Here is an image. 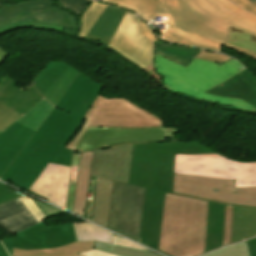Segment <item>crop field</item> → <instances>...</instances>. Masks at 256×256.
Listing matches in <instances>:
<instances>
[{
  "label": "crop field",
  "mask_w": 256,
  "mask_h": 256,
  "mask_svg": "<svg viewBox=\"0 0 256 256\" xmlns=\"http://www.w3.org/2000/svg\"><path fill=\"white\" fill-rule=\"evenodd\" d=\"M32 84L44 98L0 133V180L64 208L73 157L64 146L103 85L61 61Z\"/></svg>",
  "instance_id": "obj_1"
},
{
  "label": "crop field",
  "mask_w": 256,
  "mask_h": 256,
  "mask_svg": "<svg viewBox=\"0 0 256 256\" xmlns=\"http://www.w3.org/2000/svg\"><path fill=\"white\" fill-rule=\"evenodd\" d=\"M129 9L146 21L168 17L170 25L163 40L182 45L221 51L222 46L237 50L256 60V52L226 44L229 27L256 36V16L228 0H104Z\"/></svg>",
  "instance_id": "obj_2"
},
{
  "label": "crop field",
  "mask_w": 256,
  "mask_h": 256,
  "mask_svg": "<svg viewBox=\"0 0 256 256\" xmlns=\"http://www.w3.org/2000/svg\"><path fill=\"white\" fill-rule=\"evenodd\" d=\"M165 124L166 122L123 97L106 98L99 95L73 134L75 138L65 146L74 151L65 209L70 211L73 207L81 151L130 143L167 142L166 138L181 141L173 136L180 130L164 127Z\"/></svg>",
  "instance_id": "obj_3"
},
{
  "label": "crop field",
  "mask_w": 256,
  "mask_h": 256,
  "mask_svg": "<svg viewBox=\"0 0 256 256\" xmlns=\"http://www.w3.org/2000/svg\"><path fill=\"white\" fill-rule=\"evenodd\" d=\"M199 143L134 144L129 184L146 187L140 243L158 249L165 192L172 193L175 153H214Z\"/></svg>",
  "instance_id": "obj_4"
},
{
  "label": "crop field",
  "mask_w": 256,
  "mask_h": 256,
  "mask_svg": "<svg viewBox=\"0 0 256 256\" xmlns=\"http://www.w3.org/2000/svg\"><path fill=\"white\" fill-rule=\"evenodd\" d=\"M208 202L166 193L159 250L171 256L204 254Z\"/></svg>",
  "instance_id": "obj_5"
},
{
  "label": "crop field",
  "mask_w": 256,
  "mask_h": 256,
  "mask_svg": "<svg viewBox=\"0 0 256 256\" xmlns=\"http://www.w3.org/2000/svg\"><path fill=\"white\" fill-rule=\"evenodd\" d=\"M159 53V52H158ZM154 52L155 68L165 77L164 85L172 91L209 102L227 103L240 109L256 111L241 99L212 96L202 92L228 80L245 68L241 63L230 59L223 65L194 58L187 68L175 64Z\"/></svg>",
  "instance_id": "obj_6"
},
{
  "label": "crop field",
  "mask_w": 256,
  "mask_h": 256,
  "mask_svg": "<svg viewBox=\"0 0 256 256\" xmlns=\"http://www.w3.org/2000/svg\"><path fill=\"white\" fill-rule=\"evenodd\" d=\"M132 149L130 144L95 150L93 154L91 176L97 181L91 221L106 228L112 180L128 183Z\"/></svg>",
  "instance_id": "obj_7"
},
{
  "label": "crop field",
  "mask_w": 256,
  "mask_h": 256,
  "mask_svg": "<svg viewBox=\"0 0 256 256\" xmlns=\"http://www.w3.org/2000/svg\"><path fill=\"white\" fill-rule=\"evenodd\" d=\"M77 25V18L56 8L52 0L2 5L0 9V35L27 27L60 32L66 27L77 28Z\"/></svg>",
  "instance_id": "obj_8"
},
{
  "label": "crop field",
  "mask_w": 256,
  "mask_h": 256,
  "mask_svg": "<svg viewBox=\"0 0 256 256\" xmlns=\"http://www.w3.org/2000/svg\"><path fill=\"white\" fill-rule=\"evenodd\" d=\"M174 173L232 179L235 187H256V163L235 162L218 154H176Z\"/></svg>",
  "instance_id": "obj_9"
},
{
  "label": "crop field",
  "mask_w": 256,
  "mask_h": 256,
  "mask_svg": "<svg viewBox=\"0 0 256 256\" xmlns=\"http://www.w3.org/2000/svg\"><path fill=\"white\" fill-rule=\"evenodd\" d=\"M235 181L174 174L173 193L256 208V188H234ZM214 189L218 190L214 192Z\"/></svg>",
  "instance_id": "obj_10"
},
{
  "label": "crop field",
  "mask_w": 256,
  "mask_h": 256,
  "mask_svg": "<svg viewBox=\"0 0 256 256\" xmlns=\"http://www.w3.org/2000/svg\"><path fill=\"white\" fill-rule=\"evenodd\" d=\"M145 188L113 181L108 228L138 242Z\"/></svg>",
  "instance_id": "obj_11"
},
{
  "label": "crop field",
  "mask_w": 256,
  "mask_h": 256,
  "mask_svg": "<svg viewBox=\"0 0 256 256\" xmlns=\"http://www.w3.org/2000/svg\"><path fill=\"white\" fill-rule=\"evenodd\" d=\"M157 40L142 20L127 12L108 47L146 69L154 61Z\"/></svg>",
  "instance_id": "obj_12"
},
{
  "label": "crop field",
  "mask_w": 256,
  "mask_h": 256,
  "mask_svg": "<svg viewBox=\"0 0 256 256\" xmlns=\"http://www.w3.org/2000/svg\"><path fill=\"white\" fill-rule=\"evenodd\" d=\"M75 241L72 223L50 227L44 223H38L17 233V236L2 241V243L8 253L12 255V247L19 249L53 248Z\"/></svg>",
  "instance_id": "obj_13"
},
{
  "label": "crop field",
  "mask_w": 256,
  "mask_h": 256,
  "mask_svg": "<svg viewBox=\"0 0 256 256\" xmlns=\"http://www.w3.org/2000/svg\"><path fill=\"white\" fill-rule=\"evenodd\" d=\"M16 83L14 79L8 76L1 80L0 103L24 115L43 97L32 84L26 91H23L16 87Z\"/></svg>",
  "instance_id": "obj_14"
},
{
  "label": "crop field",
  "mask_w": 256,
  "mask_h": 256,
  "mask_svg": "<svg viewBox=\"0 0 256 256\" xmlns=\"http://www.w3.org/2000/svg\"><path fill=\"white\" fill-rule=\"evenodd\" d=\"M223 85L222 87L220 85L214 87L204 93L241 98L256 108V77L249 70L246 69L233 76Z\"/></svg>",
  "instance_id": "obj_15"
},
{
  "label": "crop field",
  "mask_w": 256,
  "mask_h": 256,
  "mask_svg": "<svg viewBox=\"0 0 256 256\" xmlns=\"http://www.w3.org/2000/svg\"><path fill=\"white\" fill-rule=\"evenodd\" d=\"M38 223L20 199L0 205V226L9 234Z\"/></svg>",
  "instance_id": "obj_16"
},
{
  "label": "crop field",
  "mask_w": 256,
  "mask_h": 256,
  "mask_svg": "<svg viewBox=\"0 0 256 256\" xmlns=\"http://www.w3.org/2000/svg\"><path fill=\"white\" fill-rule=\"evenodd\" d=\"M125 14L126 11L107 5L86 37L101 41L108 46L114 32Z\"/></svg>",
  "instance_id": "obj_17"
},
{
  "label": "crop field",
  "mask_w": 256,
  "mask_h": 256,
  "mask_svg": "<svg viewBox=\"0 0 256 256\" xmlns=\"http://www.w3.org/2000/svg\"><path fill=\"white\" fill-rule=\"evenodd\" d=\"M225 205L209 202L205 253L222 247Z\"/></svg>",
  "instance_id": "obj_18"
},
{
  "label": "crop field",
  "mask_w": 256,
  "mask_h": 256,
  "mask_svg": "<svg viewBox=\"0 0 256 256\" xmlns=\"http://www.w3.org/2000/svg\"><path fill=\"white\" fill-rule=\"evenodd\" d=\"M93 151L82 152L79 162L73 213L84 217Z\"/></svg>",
  "instance_id": "obj_19"
},
{
  "label": "crop field",
  "mask_w": 256,
  "mask_h": 256,
  "mask_svg": "<svg viewBox=\"0 0 256 256\" xmlns=\"http://www.w3.org/2000/svg\"><path fill=\"white\" fill-rule=\"evenodd\" d=\"M256 236V209L234 206L231 243Z\"/></svg>",
  "instance_id": "obj_20"
},
{
  "label": "crop field",
  "mask_w": 256,
  "mask_h": 256,
  "mask_svg": "<svg viewBox=\"0 0 256 256\" xmlns=\"http://www.w3.org/2000/svg\"><path fill=\"white\" fill-rule=\"evenodd\" d=\"M74 233H75V230H74ZM75 238H76V234H75ZM93 249H94L93 241L75 242L67 246L53 248V249L18 250L13 248V256H79L76 254L93 250Z\"/></svg>",
  "instance_id": "obj_21"
},
{
  "label": "crop field",
  "mask_w": 256,
  "mask_h": 256,
  "mask_svg": "<svg viewBox=\"0 0 256 256\" xmlns=\"http://www.w3.org/2000/svg\"><path fill=\"white\" fill-rule=\"evenodd\" d=\"M156 44V50L160 55L185 67H187L192 59L200 52V50L183 48L160 40L157 41Z\"/></svg>",
  "instance_id": "obj_22"
},
{
  "label": "crop field",
  "mask_w": 256,
  "mask_h": 256,
  "mask_svg": "<svg viewBox=\"0 0 256 256\" xmlns=\"http://www.w3.org/2000/svg\"><path fill=\"white\" fill-rule=\"evenodd\" d=\"M78 241L95 240L111 244L113 234L90 223L74 224Z\"/></svg>",
  "instance_id": "obj_23"
},
{
  "label": "crop field",
  "mask_w": 256,
  "mask_h": 256,
  "mask_svg": "<svg viewBox=\"0 0 256 256\" xmlns=\"http://www.w3.org/2000/svg\"><path fill=\"white\" fill-rule=\"evenodd\" d=\"M106 7V4H102L99 2L91 3L90 7L84 12L81 16V31L79 32L80 37H85L93 23L96 21L98 16L101 14L103 9Z\"/></svg>",
  "instance_id": "obj_24"
},
{
  "label": "crop field",
  "mask_w": 256,
  "mask_h": 256,
  "mask_svg": "<svg viewBox=\"0 0 256 256\" xmlns=\"http://www.w3.org/2000/svg\"><path fill=\"white\" fill-rule=\"evenodd\" d=\"M230 31L231 37L230 41L228 42L229 44L256 51V37L233 27L230 28Z\"/></svg>",
  "instance_id": "obj_25"
},
{
  "label": "crop field",
  "mask_w": 256,
  "mask_h": 256,
  "mask_svg": "<svg viewBox=\"0 0 256 256\" xmlns=\"http://www.w3.org/2000/svg\"><path fill=\"white\" fill-rule=\"evenodd\" d=\"M95 242V241H94ZM95 249L103 250L119 256H159L151 251L131 250L95 242Z\"/></svg>",
  "instance_id": "obj_26"
},
{
  "label": "crop field",
  "mask_w": 256,
  "mask_h": 256,
  "mask_svg": "<svg viewBox=\"0 0 256 256\" xmlns=\"http://www.w3.org/2000/svg\"><path fill=\"white\" fill-rule=\"evenodd\" d=\"M203 256V255H202ZM205 256H249L246 242H241L230 247L220 249Z\"/></svg>",
  "instance_id": "obj_27"
},
{
  "label": "crop field",
  "mask_w": 256,
  "mask_h": 256,
  "mask_svg": "<svg viewBox=\"0 0 256 256\" xmlns=\"http://www.w3.org/2000/svg\"><path fill=\"white\" fill-rule=\"evenodd\" d=\"M22 115L0 104V130L6 129Z\"/></svg>",
  "instance_id": "obj_28"
},
{
  "label": "crop field",
  "mask_w": 256,
  "mask_h": 256,
  "mask_svg": "<svg viewBox=\"0 0 256 256\" xmlns=\"http://www.w3.org/2000/svg\"><path fill=\"white\" fill-rule=\"evenodd\" d=\"M64 7L68 8L76 14H80L84 8L90 3L89 0H59Z\"/></svg>",
  "instance_id": "obj_29"
},
{
  "label": "crop field",
  "mask_w": 256,
  "mask_h": 256,
  "mask_svg": "<svg viewBox=\"0 0 256 256\" xmlns=\"http://www.w3.org/2000/svg\"><path fill=\"white\" fill-rule=\"evenodd\" d=\"M232 210L233 206L226 205L225 212V228H224V245H227L231 241V231H232Z\"/></svg>",
  "instance_id": "obj_30"
},
{
  "label": "crop field",
  "mask_w": 256,
  "mask_h": 256,
  "mask_svg": "<svg viewBox=\"0 0 256 256\" xmlns=\"http://www.w3.org/2000/svg\"><path fill=\"white\" fill-rule=\"evenodd\" d=\"M24 195L4 186V184L0 183V204L10 201V200H14L17 198H20Z\"/></svg>",
  "instance_id": "obj_31"
},
{
  "label": "crop field",
  "mask_w": 256,
  "mask_h": 256,
  "mask_svg": "<svg viewBox=\"0 0 256 256\" xmlns=\"http://www.w3.org/2000/svg\"><path fill=\"white\" fill-rule=\"evenodd\" d=\"M22 202L27 206V208L31 211V213L36 217L39 222H43L42 220L46 219L41 210L36 206V204L32 201L31 198L25 196L21 198Z\"/></svg>",
  "instance_id": "obj_32"
},
{
  "label": "crop field",
  "mask_w": 256,
  "mask_h": 256,
  "mask_svg": "<svg viewBox=\"0 0 256 256\" xmlns=\"http://www.w3.org/2000/svg\"><path fill=\"white\" fill-rule=\"evenodd\" d=\"M196 57L205 59V60H209V61H213V62H223V61H226L231 58V57H227V56H224L221 54L204 52V51H201Z\"/></svg>",
  "instance_id": "obj_33"
},
{
  "label": "crop field",
  "mask_w": 256,
  "mask_h": 256,
  "mask_svg": "<svg viewBox=\"0 0 256 256\" xmlns=\"http://www.w3.org/2000/svg\"><path fill=\"white\" fill-rule=\"evenodd\" d=\"M33 201L38 205V207L42 210V212L45 214V216L47 218H50L56 214L64 213L63 211H61L51 205L43 204L34 199H33Z\"/></svg>",
  "instance_id": "obj_34"
},
{
  "label": "crop field",
  "mask_w": 256,
  "mask_h": 256,
  "mask_svg": "<svg viewBox=\"0 0 256 256\" xmlns=\"http://www.w3.org/2000/svg\"><path fill=\"white\" fill-rule=\"evenodd\" d=\"M113 245L115 246H122V247H128V248H132V249H141V250H147L133 242H130L124 238H121L117 235H114V241H113Z\"/></svg>",
  "instance_id": "obj_35"
},
{
  "label": "crop field",
  "mask_w": 256,
  "mask_h": 256,
  "mask_svg": "<svg viewBox=\"0 0 256 256\" xmlns=\"http://www.w3.org/2000/svg\"><path fill=\"white\" fill-rule=\"evenodd\" d=\"M239 7L256 14V3H252L249 0H231Z\"/></svg>",
  "instance_id": "obj_36"
},
{
  "label": "crop field",
  "mask_w": 256,
  "mask_h": 256,
  "mask_svg": "<svg viewBox=\"0 0 256 256\" xmlns=\"http://www.w3.org/2000/svg\"><path fill=\"white\" fill-rule=\"evenodd\" d=\"M79 255H84V256H115L103 251H98V250H93V251H89V252H85Z\"/></svg>",
  "instance_id": "obj_37"
},
{
  "label": "crop field",
  "mask_w": 256,
  "mask_h": 256,
  "mask_svg": "<svg viewBox=\"0 0 256 256\" xmlns=\"http://www.w3.org/2000/svg\"><path fill=\"white\" fill-rule=\"evenodd\" d=\"M248 245V249L250 252V256H256V238L246 241ZM255 251V252H253Z\"/></svg>",
  "instance_id": "obj_38"
},
{
  "label": "crop field",
  "mask_w": 256,
  "mask_h": 256,
  "mask_svg": "<svg viewBox=\"0 0 256 256\" xmlns=\"http://www.w3.org/2000/svg\"><path fill=\"white\" fill-rule=\"evenodd\" d=\"M7 54L1 47H0V63L8 56Z\"/></svg>",
  "instance_id": "obj_39"
},
{
  "label": "crop field",
  "mask_w": 256,
  "mask_h": 256,
  "mask_svg": "<svg viewBox=\"0 0 256 256\" xmlns=\"http://www.w3.org/2000/svg\"><path fill=\"white\" fill-rule=\"evenodd\" d=\"M0 256H9L6 251L4 250L1 242H0Z\"/></svg>",
  "instance_id": "obj_40"
},
{
  "label": "crop field",
  "mask_w": 256,
  "mask_h": 256,
  "mask_svg": "<svg viewBox=\"0 0 256 256\" xmlns=\"http://www.w3.org/2000/svg\"><path fill=\"white\" fill-rule=\"evenodd\" d=\"M251 1L254 2V3L256 2V0H251Z\"/></svg>",
  "instance_id": "obj_41"
},
{
  "label": "crop field",
  "mask_w": 256,
  "mask_h": 256,
  "mask_svg": "<svg viewBox=\"0 0 256 256\" xmlns=\"http://www.w3.org/2000/svg\"><path fill=\"white\" fill-rule=\"evenodd\" d=\"M1 132V131H0Z\"/></svg>",
  "instance_id": "obj_42"
}]
</instances>
